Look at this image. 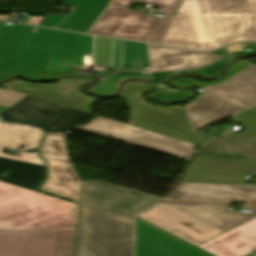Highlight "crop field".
Returning <instances> with one entry per match:
<instances>
[{"label":"crop field","instance_id":"crop-field-1","mask_svg":"<svg viewBox=\"0 0 256 256\" xmlns=\"http://www.w3.org/2000/svg\"><path fill=\"white\" fill-rule=\"evenodd\" d=\"M0 114L4 121L39 126L47 132H65L76 127L187 160L197 147L141 128L30 96Z\"/></svg>","mask_w":256,"mask_h":256},{"label":"crop field","instance_id":"crop-field-2","mask_svg":"<svg viewBox=\"0 0 256 256\" xmlns=\"http://www.w3.org/2000/svg\"><path fill=\"white\" fill-rule=\"evenodd\" d=\"M133 215L79 203L72 256H132Z\"/></svg>","mask_w":256,"mask_h":256},{"label":"crop field","instance_id":"crop-field-3","mask_svg":"<svg viewBox=\"0 0 256 256\" xmlns=\"http://www.w3.org/2000/svg\"><path fill=\"white\" fill-rule=\"evenodd\" d=\"M77 204L0 182V229L75 225Z\"/></svg>","mask_w":256,"mask_h":256},{"label":"crop field","instance_id":"crop-field-4","mask_svg":"<svg viewBox=\"0 0 256 256\" xmlns=\"http://www.w3.org/2000/svg\"><path fill=\"white\" fill-rule=\"evenodd\" d=\"M205 50L256 39L249 0H193Z\"/></svg>","mask_w":256,"mask_h":256},{"label":"crop field","instance_id":"crop-field-5","mask_svg":"<svg viewBox=\"0 0 256 256\" xmlns=\"http://www.w3.org/2000/svg\"><path fill=\"white\" fill-rule=\"evenodd\" d=\"M0 21V71L29 69L44 74L49 30Z\"/></svg>","mask_w":256,"mask_h":256},{"label":"crop field","instance_id":"crop-field-6","mask_svg":"<svg viewBox=\"0 0 256 256\" xmlns=\"http://www.w3.org/2000/svg\"><path fill=\"white\" fill-rule=\"evenodd\" d=\"M75 226L0 230V256H71Z\"/></svg>","mask_w":256,"mask_h":256},{"label":"crop field","instance_id":"crop-field-7","mask_svg":"<svg viewBox=\"0 0 256 256\" xmlns=\"http://www.w3.org/2000/svg\"><path fill=\"white\" fill-rule=\"evenodd\" d=\"M110 7L89 34L159 44L173 16L163 19Z\"/></svg>","mask_w":256,"mask_h":256},{"label":"crop field","instance_id":"crop-field-8","mask_svg":"<svg viewBox=\"0 0 256 256\" xmlns=\"http://www.w3.org/2000/svg\"><path fill=\"white\" fill-rule=\"evenodd\" d=\"M47 160L48 179L43 189L78 202L80 179L68 161L63 134H47L40 150Z\"/></svg>","mask_w":256,"mask_h":256},{"label":"crop field","instance_id":"crop-field-9","mask_svg":"<svg viewBox=\"0 0 256 256\" xmlns=\"http://www.w3.org/2000/svg\"><path fill=\"white\" fill-rule=\"evenodd\" d=\"M160 199L161 197L94 180L81 183L79 202L131 212L135 215Z\"/></svg>","mask_w":256,"mask_h":256},{"label":"crop field","instance_id":"crop-field-10","mask_svg":"<svg viewBox=\"0 0 256 256\" xmlns=\"http://www.w3.org/2000/svg\"><path fill=\"white\" fill-rule=\"evenodd\" d=\"M138 217L196 246L223 233L162 203Z\"/></svg>","mask_w":256,"mask_h":256},{"label":"crop field","instance_id":"crop-field-11","mask_svg":"<svg viewBox=\"0 0 256 256\" xmlns=\"http://www.w3.org/2000/svg\"><path fill=\"white\" fill-rule=\"evenodd\" d=\"M150 85L140 82L125 84L119 97L128 101L133 118L152 122L181 132H191L182 108L153 107L141 97L149 91Z\"/></svg>","mask_w":256,"mask_h":256},{"label":"crop field","instance_id":"crop-field-12","mask_svg":"<svg viewBox=\"0 0 256 256\" xmlns=\"http://www.w3.org/2000/svg\"><path fill=\"white\" fill-rule=\"evenodd\" d=\"M168 198L248 203L245 209L256 211V187L253 186L179 182Z\"/></svg>","mask_w":256,"mask_h":256},{"label":"crop field","instance_id":"crop-field-13","mask_svg":"<svg viewBox=\"0 0 256 256\" xmlns=\"http://www.w3.org/2000/svg\"><path fill=\"white\" fill-rule=\"evenodd\" d=\"M92 81L94 80L91 78H77L71 80H62L55 85H39L28 84L15 80L2 84V86L30 96L50 100L89 112V107L96 100V98L84 96L80 94L79 91L84 85Z\"/></svg>","mask_w":256,"mask_h":256},{"label":"crop field","instance_id":"crop-field-14","mask_svg":"<svg viewBox=\"0 0 256 256\" xmlns=\"http://www.w3.org/2000/svg\"><path fill=\"white\" fill-rule=\"evenodd\" d=\"M92 52V37L50 30L45 71H69L82 65V55Z\"/></svg>","mask_w":256,"mask_h":256},{"label":"crop field","instance_id":"crop-field-15","mask_svg":"<svg viewBox=\"0 0 256 256\" xmlns=\"http://www.w3.org/2000/svg\"><path fill=\"white\" fill-rule=\"evenodd\" d=\"M234 120L249 128L238 136L227 132L195 154L256 159V107L235 116Z\"/></svg>","mask_w":256,"mask_h":256},{"label":"crop field","instance_id":"crop-field-16","mask_svg":"<svg viewBox=\"0 0 256 256\" xmlns=\"http://www.w3.org/2000/svg\"><path fill=\"white\" fill-rule=\"evenodd\" d=\"M135 256H211L137 218Z\"/></svg>","mask_w":256,"mask_h":256},{"label":"crop field","instance_id":"crop-field-17","mask_svg":"<svg viewBox=\"0 0 256 256\" xmlns=\"http://www.w3.org/2000/svg\"><path fill=\"white\" fill-rule=\"evenodd\" d=\"M163 203L223 232L254 217L256 213L228 210L230 204L165 200Z\"/></svg>","mask_w":256,"mask_h":256},{"label":"crop field","instance_id":"crop-field-18","mask_svg":"<svg viewBox=\"0 0 256 256\" xmlns=\"http://www.w3.org/2000/svg\"><path fill=\"white\" fill-rule=\"evenodd\" d=\"M202 90L206 92L183 108L192 132L245 109L206 88Z\"/></svg>","mask_w":256,"mask_h":256},{"label":"crop field","instance_id":"crop-field-19","mask_svg":"<svg viewBox=\"0 0 256 256\" xmlns=\"http://www.w3.org/2000/svg\"><path fill=\"white\" fill-rule=\"evenodd\" d=\"M153 72L196 70L210 65L222 57L187 50L149 45Z\"/></svg>","mask_w":256,"mask_h":256},{"label":"crop field","instance_id":"crop-field-20","mask_svg":"<svg viewBox=\"0 0 256 256\" xmlns=\"http://www.w3.org/2000/svg\"><path fill=\"white\" fill-rule=\"evenodd\" d=\"M246 174L256 177V160L211 156H195L185 173L188 176L221 178H245Z\"/></svg>","mask_w":256,"mask_h":256},{"label":"crop field","instance_id":"crop-field-21","mask_svg":"<svg viewBox=\"0 0 256 256\" xmlns=\"http://www.w3.org/2000/svg\"><path fill=\"white\" fill-rule=\"evenodd\" d=\"M198 247L215 256H244L256 250V218Z\"/></svg>","mask_w":256,"mask_h":256},{"label":"crop field","instance_id":"crop-field-22","mask_svg":"<svg viewBox=\"0 0 256 256\" xmlns=\"http://www.w3.org/2000/svg\"><path fill=\"white\" fill-rule=\"evenodd\" d=\"M160 44L204 50L192 0H184Z\"/></svg>","mask_w":256,"mask_h":256},{"label":"crop field","instance_id":"crop-field-23","mask_svg":"<svg viewBox=\"0 0 256 256\" xmlns=\"http://www.w3.org/2000/svg\"><path fill=\"white\" fill-rule=\"evenodd\" d=\"M207 88L249 108L256 104V67L251 65L226 82Z\"/></svg>","mask_w":256,"mask_h":256},{"label":"crop field","instance_id":"crop-field-24","mask_svg":"<svg viewBox=\"0 0 256 256\" xmlns=\"http://www.w3.org/2000/svg\"><path fill=\"white\" fill-rule=\"evenodd\" d=\"M5 170L11 172L7 176H1ZM45 178V167L0 158V181L33 190L40 188Z\"/></svg>","mask_w":256,"mask_h":256},{"label":"crop field","instance_id":"crop-field-25","mask_svg":"<svg viewBox=\"0 0 256 256\" xmlns=\"http://www.w3.org/2000/svg\"><path fill=\"white\" fill-rule=\"evenodd\" d=\"M44 132L33 126L3 123L0 119V146L18 149L20 145L37 148Z\"/></svg>","mask_w":256,"mask_h":256},{"label":"crop field","instance_id":"crop-field-26","mask_svg":"<svg viewBox=\"0 0 256 256\" xmlns=\"http://www.w3.org/2000/svg\"><path fill=\"white\" fill-rule=\"evenodd\" d=\"M130 124L134 125V126H137V127H141V128L150 130V131H153V132H156V133H160V134H163V135H166V136H169V137H173V138L183 140V141H186V142H189V143L200 145V146L203 145L204 143L208 142L209 140H211L213 138V136H212L213 134H219L220 133V131L212 130V131H210L209 134H191V135L181 134V133H178V132H175V131H171V130H168V129H165V128H161V127H158V126L147 124V123L137 121V120H134V119H131V118H130Z\"/></svg>","mask_w":256,"mask_h":256},{"label":"crop field","instance_id":"crop-field-27","mask_svg":"<svg viewBox=\"0 0 256 256\" xmlns=\"http://www.w3.org/2000/svg\"><path fill=\"white\" fill-rule=\"evenodd\" d=\"M124 77H141L143 79L150 78V76L142 75L140 72H117L107 77L105 81L99 82L96 86L91 88L88 92L104 95V96H111L116 92L115 84L117 83V81Z\"/></svg>","mask_w":256,"mask_h":256},{"label":"crop field","instance_id":"crop-field-28","mask_svg":"<svg viewBox=\"0 0 256 256\" xmlns=\"http://www.w3.org/2000/svg\"><path fill=\"white\" fill-rule=\"evenodd\" d=\"M250 64L240 61L237 64L233 65L232 67L229 68L227 75L218 83H213V84H219L227 80L228 78L234 76L238 72L242 71L246 67H248ZM171 84L178 86V87H187V86H194L196 88L202 89V87H205L206 85H212V84H202L198 83L192 79H189L187 77H182V78H177L173 81H171Z\"/></svg>","mask_w":256,"mask_h":256},{"label":"crop field","instance_id":"crop-field-29","mask_svg":"<svg viewBox=\"0 0 256 256\" xmlns=\"http://www.w3.org/2000/svg\"><path fill=\"white\" fill-rule=\"evenodd\" d=\"M225 65V61L222 60V61H218L204 69H200V70H196V71H182V73H191V72H201L202 74L204 75H207V76H215L217 75L223 68V66ZM175 72H172V73H153V78L155 79H159V78H163L165 77L166 75H172L174 74Z\"/></svg>","mask_w":256,"mask_h":256},{"label":"crop field","instance_id":"crop-field-30","mask_svg":"<svg viewBox=\"0 0 256 256\" xmlns=\"http://www.w3.org/2000/svg\"><path fill=\"white\" fill-rule=\"evenodd\" d=\"M26 96L8 89H0V105L8 108Z\"/></svg>","mask_w":256,"mask_h":256},{"label":"crop field","instance_id":"crop-field-31","mask_svg":"<svg viewBox=\"0 0 256 256\" xmlns=\"http://www.w3.org/2000/svg\"><path fill=\"white\" fill-rule=\"evenodd\" d=\"M17 76H23L33 80H43L44 78V75L29 70H12L8 72H0V81L14 78Z\"/></svg>","mask_w":256,"mask_h":256},{"label":"crop field","instance_id":"crop-field-32","mask_svg":"<svg viewBox=\"0 0 256 256\" xmlns=\"http://www.w3.org/2000/svg\"><path fill=\"white\" fill-rule=\"evenodd\" d=\"M143 2L161 6L157 13L173 14L180 0H144Z\"/></svg>","mask_w":256,"mask_h":256},{"label":"crop field","instance_id":"crop-field-33","mask_svg":"<svg viewBox=\"0 0 256 256\" xmlns=\"http://www.w3.org/2000/svg\"><path fill=\"white\" fill-rule=\"evenodd\" d=\"M4 149L0 148V157L21 160L29 163L45 166V162L39 158L36 154L20 152L17 157L1 153Z\"/></svg>","mask_w":256,"mask_h":256},{"label":"crop field","instance_id":"crop-field-34","mask_svg":"<svg viewBox=\"0 0 256 256\" xmlns=\"http://www.w3.org/2000/svg\"><path fill=\"white\" fill-rule=\"evenodd\" d=\"M181 181L209 182V183H228V184H245L244 180L210 179V178H189V177H182ZM245 185H248V184H245Z\"/></svg>","mask_w":256,"mask_h":256},{"label":"crop field","instance_id":"crop-field-35","mask_svg":"<svg viewBox=\"0 0 256 256\" xmlns=\"http://www.w3.org/2000/svg\"><path fill=\"white\" fill-rule=\"evenodd\" d=\"M80 71H70V72H45V78L47 79H53V78H59V77H66L69 75H79Z\"/></svg>","mask_w":256,"mask_h":256},{"label":"crop field","instance_id":"crop-field-36","mask_svg":"<svg viewBox=\"0 0 256 256\" xmlns=\"http://www.w3.org/2000/svg\"><path fill=\"white\" fill-rule=\"evenodd\" d=\"M134 1L142 2L143 0H114L110 5L128 8Z\"/></svg>","mask_w":256,"mask_h":256},{"label":"crop field","instance_id":"crop-field-37","mask_svg":"<svg viewBox=\"0 0 256 256\" xmlns=\"http://www.w3.org/2000/svg\"><path fill=\"white\" fill-rule=\"evenodd\" d=\"M132 69L143 68L142 59L131 60Z\"/></svg>","mask_w":256,"mask_h":256},{"label":"crop field","instance_id":"crop-field-38","mask_svg":"<svg viewBox=\"0 0 256 256\" xmlns=\"http://www.w3.org/2000/svg\"><path fill=\"white\" fill-rule=\"evenodd\" d=\"M250 4H251L255 24H256V0H250Z\"/></svg>","mask_w":256,"mask_h":256},{"label":"crop field","instance_id":"crop-field-39","mask_svg":"<svg viewBox=\"0 0 256 256\" xmlns=\"http://www.w3.org/2000/svg\"><path fill=\"white\" fill-rule=\"evenodd\" d=\"M214 53H215V54H218V55H220V56H222V57H226V56H229V55H230L228 52L224 51L223 49H220V50H218V51H216V52H214Z\"/></svg>","mask_w":256,"mask_h":256},{"label":"crop field","instance_id":"crop-field-40","mask_svg":"<svg viewBox=\"0 0 256 256\" xmlns=\"http://www.w3.org/2000/svg\"><path fill=\"white\" fill-rule=\"evenodd\" d=\"M177 74H181V72H179V73H176V74H174V75H177ZM192 74H200V73H192ZM173 75V76H174ZM200 75H202V74H200ZM203 76V75H202ZM170 77H172V76H167V77H165L166 79H168V78H170ZM205 77H207V76H205Z\"/></svg>","mask_w":256,"mask_h":256},{"label":"crop field","instance_id":"crop-field-41","mask_svg":"<svg viewBox=\"0 0 256 256\" xmlns=\"http://www.w3.org/2000/svg\"><path fill=\"white\" fill-rule=\"evenodd\" d=\"M124 79H130V78H124ZM124 79H122V80H124ZM137 79H141V78H137ZM122 80H120L116 85H117V88H118V85H119V83L122 81ZM143 80V79H142ZM117 90V89H116Z\"/></svg>","mask_w":256,"mask_h":256},{"label":"crop field","instance_id":"crop-field-42","mask_svg":"<svg viewBox=\"0 0 256 256\" xmlns=\"http://www.w3.org/2000/svg\"><path fill=\"white\" fill-rule=\"evenodd\" d=\"M6 108L0 106V112L4 111Z\"/></svg>","mask_w":256,"mask_h":256},{"label":"crop field","instance_id":"crop-field-43","mask_svg":"<svg viewBox=\"0 0 256 256\" xmlns=\"http://www.w3.org/2000/svg\"><path fill=\"white\" fill-rule=\"evenodd\" d=\"M248 256H256V252H254V253H252V254H250Z\"/></svg>","mask_w":256,"mask_h":256}]
</instances>
